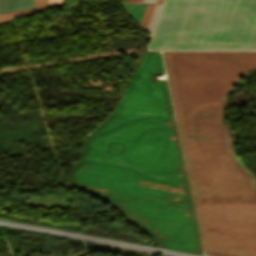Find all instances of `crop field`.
<instances>
[{"mask_svg":"<svg viewBox=\"0 0 256 256\" xmlns=\"http://www.w3.org/2000/svg\"><path fill=\"white\" fill-rule=\"evenodd\" d=\"M160 52L146 51L116 108L87 134L67 185L113 205L158 246L202 254Z\"/></svg>","mask_w":256,"mask_h":256,"instance_id":"obj_1","label":"crop field"},{"mask_svg":"<svg viewBox=\"0 0 256 256\" xmlns=\"http://www.w3.org/2000/svg\"><path fill=\"white\" fill-rule=\"evenodd\" d=\"M204 253L256 256V181L221 123L256 52H163Z\"/></svg>","mask_w":256,"mask_h":256,"instance_id":"obj_2","label":"crop field"},{"mask_svg":"<svg viewBox=\"0 0 256 256\" xmlns=\"http://www.w3.org/2000/svg\"><path fill=\"white\" fill-rule=\"evenodd\" d=\"M151 50H256V0H166Z\"/></svg>","mask_w":256,"mask_h":256,"instance_id":"obj_3","label":"crop field"},{"mask_svg":"<svg viewBox=\"0 0 256 256\" xmlns=\"http://www.w3.org/2000/svg\"><path fill=\"white\" fill-rule=\"evenodd\" d=\"M31 7L33 0H0V13Z\"/></svg>","mask_w":256,"mask_h":256,"instance_id":"obj_4","label":"crop field"},{"mask_svg":"<svg viewBox=\"0 0 256 256\" xmlns=\"http://www.w3.org/2000/svg\"><path fill=\"white\" fill-rule=\"evenodd\" d=\"M48 6L46 7H40V8H35V9H29V10H23V11H17V12H11V13H5V14H0V24L13 20L15 18L32 14V13H38L46 10Z\"/></svg>","mask_w":256,"mask_h":256,"instance_id":"obj_5","label":"crop field"},{"mask_svg":"<svg viewBox=\"0 0 256 256\" xmlns=\"http://www.w3.org/2000/svg\"><path fill=\"white\" fill-rule=\"evenodd\" d=\"M147 4L127 3L126 8L140 21Z\"/></svg>","mask_w":256,"mask_h":256,"instance_id":"obj_6","label":"crop field"},{"mask_svg":"<svg viewBox=\"0 0 256 256\" xmlns=\"http://www.w3.org/2000/svg\"><path fill=\"white\" fill-rule=\"evenodd\" d=\"M154 6H155V5L148 4V5H147V8H146V10H145L144 16H143L142 21H141V24L143 25V27H144L145 29H147V26H148L150 17H151V15H152Z\"/></svg>","mask_w":256,"mask_h":256,"instance_id":"obj_7","label":"crop field"},{"mask_svg":"<svg viewBox=\"0 0 256 256\" xmlns=\"http://www.w3.org/2000/svg\"><path fill=\"white\" fill-rule=\"evenodd\" d=\"M161 6H162V5H156V6H155V9H154L152 18H151V20H150V23H149V26H148V29H147V32H148L150 35H152L153 28H154V25H155V22H156V19H157V16H158V14H159V11H160Z\"/></svg>","mask_w":256,"mask_h":256,"instance_id":"obj_8","label":"crop field"},{"mask_svg":"<svg viewBox=\"0 0 256 256\" xmlns=\"http://www.w3.org/2000/svg\"><path fill=\"white\" fill-rule=\"evenodd\" d=\"M43 5H48V0H34V7Z\"/></svg>","mask_w":256,"mask_h":256,"instance_id":"obj_9","label":"crop field"},{"mask_svg":"<svg viewBox=\"0 0 256 256\" xmlns=\"http://www.w3.org/2000/svg\"><path fill=\"white\" fill-rule=\"evenodd\" d=\"M62 3V0H49V5Z\"/></svg>","mask_w":256,"mask_h":256,"instance_id":"obj_10","label":"crop field"},{"mask_svg":"<svg viewBox=\"0 0 256 256\" xmlns=\"http://www.w3.org/2000/svg\"><path fill=\"white\" fill-rule=\"evenodd\" d=\"M143 2L155 3L156 0H144Z\"/></svg>","mask_w":256,"mask_h":256,"instance_id":"obj_11","label":"crop field"},{"mask_svg":"<svg viewBox=\"0 0 256 256\" xmlns=\"http://www.w3.org/2000/svg\"><path fill=\"white\" fill-rule=\"evenodd\" d=\"M123 1L142 2L143 0H123Z\"/></svg>","mask_w":256,"mask_h":256,"instance_id":"obj_12","label":"crop field"},{"mask_svg":"<svg viewBox=\"0 0 256 256\" xmlns=\"http://www.w3.org/2000/svg\"><path fill=\"white\" fill-rule=\"evenodd\" d=\"M163 2V0H157V2L156 3H162Z\"/></svg>","mask_w":256,"mask_h":256,"instance_id":"obj_13","label":"crop field"},{"mask_svg":"<svg viewBox=\"0 0 256 256\" xmlns=\"http://www.w3.org/2000/svg\"><path fill=\"white\" fill-rule=\"evenodd\" d=\"M162 256H165V255H162Z\"/></svg>","mask_w":256,"mask_h":256,"instance_id":"obj_14","label":"crop field"}]
</instances>
